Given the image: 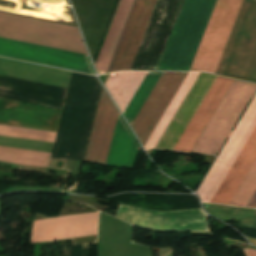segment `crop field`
I'll use <instances>...</instances> for the list:
<instances>
[{
	"label": "crop field",
	"mask_w": 256,
	"mask_h": 256,
	"mask_svg": "<svg viewBox=\"0 0 256 256\" xmlns=\"http://www.w3.org/2000/svg\"><path fill=\"white\" fill-rule=\"evenodd\" d=\"M214 74L256 83V0H242Z\"/></svg>",
	"instance_id": "obj_1"
},
{
	"label": "crop field",
	"mask_w": 256,
	"mask_h": 256,
	"mask_svg": "<svg viewBox=\"0 0 256 256\" xmlns=\"http://www.w3.org/2000/svg\"><path fill=\"white\" fill-rule=\"evenodd\" d=\"M197 0H184L157 70L169 71ZM216 0H198L170 71H189Z\"/></svg>",
	"instance_id": "obj_2"
},
{
	"label": "crop field",
	"mask_w": 256,
	"mask_h": 256,
	"mask_svg": "<svg viewBox=\"0 0 256 256\" xmlns=\"http://www.w3.org/2000/svg\"><path fill=\"white\" fill-rule=\"evenodd\" d=\"M0 37L87 54L75 27L1 12Z\"/></svg>",
	"instance_id": "obj_3"
},
{
	"label": "crop field",
	"mask_w": 256,
	"mask_h": 256,
	"mask_svg": "<svg viewBox=\"0 0 256 256\" xmlns=\"http://www.w3.org/2000/svg\"><path fill=\"white\" fill-rule=\"evenodd\" d=\"M255 90L256 85L233 80L191 152L217 155Z\"/></svg>",
	"instance_id": "obj_4"
},
{
	"label": "crop field",
	"mask_w": 256,
	"mask_h": 256,
	"mask_svg": "<svg viewBox=\"0 0 256 256\" xmlns=\"http://www.w3.org/2000/svg\"><path fill=\"white\" fill-rule=\"evenodd\" d=\"M241 0H217L190 71L214 73Z\"/></svg>",
	"instance_id": "obj_5"
},
{
	"label": "crop field",
	"mask_w": 256,
	"mask_h": 256,
	"mask_svg": "<svg viewBox=\"0 0 256 256\" xmlns=\"http://www.w3.org/2000/svg\"><path fill=\"white\" fill-rule=\"evenodd\" d=\"M181 0H157L130 70H154Z\"/></svg>",
	"instance_id": "obj_6"
},
{
	"label": "crop field",
	"mask_w": 256,
	"mask_h": 256,
	"mask_svg": "<svg viewBox=\"0 0 256 256\" xmlns=\"http://www.w3.org/2000/svg\"><path fill=\"white\" fill-rule=\"evenodd\" d=\"M255 126L256 95L199 187L197 192L202 202H210Z\"/></svg>",
	"instance_id": "obj_7"
},
{
	"label": "crop field",
	"mask_w": 256,
	"mask_h": 256,
	"mask_svg": "<svg viewBox=\"0 0 256 256\" xmlns=\"http://www.w3.org/2000/svg\"><path fill=\"white\" fill-rule=\"evenodd\" d=\"M0 55L94 74L85 54L0 38Z\"/></svg>",
	"instance_id": "obj_8"
},
{
	"label": "crop field",
	"mask_w": 256,
	"mask_h": 256,
	"mask_svg": "<svg viewBox=\"0 0 256 256\" xmlns=\"http://www.w3.org/2000/svg\"><path fill=\"white\" fill-rule=\"evenodd\" d=\"M156 0H134L108 72L129 70Z\"/></svg>",
	"instance_id": "obj_9"
},
{
	"label": "crop field",
	"mask_w": 256,
	"mask_h": 256,
	"mask_svg": "<svg viewBox=\"0 0 256 256\" xmlns=\"http://www.w3.org/2000/svg\"><path fill=\"white\" fill-rule=\"evenodd\" d=\"M187 73L163 72L131 125L143 146L169 105Z\"/></svg>",
	"instance_id": "obj_10"
},
{
	"label": "crop field",
	"mask_w": 256,
	"mask_h": 256,
	"mask_svg": "<svg viewBox=\"0 0 256 256\" xmlns=\"http://www.w3.org/2000/svg\"><path fill=\"white\" fill-rule=\"evenodd\" d=\"M200 210L203 212L202 208ZM205 224L208 230L206 215ZM119 218L143 228L161 231L203 230V217L198 209L153 212L123 205Z\"/></svg>",
	"instance_id": "obj_11"
},
{
	"label": "crop field",
	"mask_w": 256,
	"mask_h": 256,
	"mask_svg": "<svg viewBox=\"0 0 256 256\" xmlns=\"http://www.w3.org/2000/svg\"><path fill=\"white\" fill-rule=\"evenodd\" d=\"M98 213L37 220L31 242L96 234Z\"/></svg>",
	"instance_id": "obj_12"
},
{
	"label": "crop field",
	"mask_w": 256,
	"mask_h": 256,
	"mask_svg": "<svg viewBox=\"0 0 256 256\" xmlns=\"http://www.w3.org/2000/svg\"><path fill=\"white\" fill-rule=\"evenodd\" d=\"M118 111L102 90L85 161L105 165Z\"/></svg>",
	"instance_id": "obj_13"
},
{
	"label": "crop field",
	"mask_w": 256,
	"mask_h": 256,
	"mask_svg": "<svg viewBox=\"0 0 256 256\" xmlns=\"http://www.w3.org/2000/svg\"><path fill=\"white\" fill-rule=\"evenodd\" d=\"M61 113L0 99V124L57 131Z\"/></svg>",
	"instance_id": "obj_14"
},
{
	"label": "crop field",
	"mask_w": 256,
	"mask_h": 256,
	"mask_svg": "<svg viewBox=\"0 0 256 256\" xmlns=\"http://www.w3.org/2000/svg\"><path fill=\"white\" fill-rule=\"evenodd\" d=\"M231 82V79L217 77L174 150L190 152Z\"/></svg>",
	"instance_id": "obj_15"
},
{
	"label": "crop field",
	"mask_w": 256,
	"mask_h": 256,
	"mask_svg": "<svg viewBox=\"0 0 256 256\" xmlns=\"http://www.w3.org/2000/svg\"><path fill=\"white\" fill-rule=\"evenodd\" d=\"M255 159L256 128L215 193L211 202L228 205Z\"/></svg>",
	"instance_id": "obj_16"
},
{
	"label": "crop field",
	"mask_w": 256,
	"mask_h": 256,
	"mask_svg": "<svg viewBox=\"0 0 256 256\" xmlns=\"http://www.w3.org/2000/svg\"><path fill=\"white\" fill-rule=\"evenodd\" d=\"M139 149L130 129L118 115L106 165L133 168Z\"/></svg>",
	"instance_id": "obj_17"
},
{
	"label": "crop field",
	"mask_w": 256,
	"mask_h": 256,
	"mask_svg": "<svg viewBox=\"0 0 256 256\" xmlns=\"http://www.w3.org/2000/svg\"><path fill=\"white\" fill-rule=\"evenodd\" d=\"M133 0H120L116 13L110 25L104 44L98 56L95 67L99 74L106 72L121 30L125 23Z\"/></svg>",
	"instance_id": "obj_18"
},
{
	"label": "crop field",
	"mask_w": 256,
	"mask_h": 256,
	"mask_svg": "<svg viewBox=\"0 0 256 256\" xmlns=\"http://www.w3.org/2000/svg\"><path fill=\"white\" fill-rule=\"evenodd\" d=\"M146 74L147 72H119L109 77L105 85L122 113Z\"/></svg>",
	"instance_id": "obj_19"
},
{
	"label": "crop field",
	"mask_w": 256,
	"mask_h": 256,
	"mask_svg": "<svg viewBox=\"0 0 256 256\" xmlns=\"http://www.w3.org/2000/svg\"><path fill=\"white\" fill-rule=\"evenodd\" d=\"M198 75L199 73H188L187 77L180 86L167 110L163 114L153 133L146 142L144 146L145 149L150 147L155 148L156 144L158 143L165 129L169 125L170 121L172 120L173 116L175 115L176 111L178 110L179 106L181 105L182 101L184 100L185 96L192 87Z\"/></svg>",
	"instance_id": "obj_20"
},
{
	"label": "crop field",
	"mask_w": 256,
	"mask_h": 256,
	"mask_svg": "<svg viewBox=\"0 0 256 256\" xmlns=\"http://www.w3.org/2000/svg\"><path fill=\"white\" fill-rule=\"evenodd\" d=\"M51 153L0 147V160L15 164L47 167Z\"/></svg>",
	"instance_id": "obj_21"
},
{
	"label": "crop field",
	"mask_w": 256,
	"mask_h": 256,
	"mask_svg": "<svg viewBox=\"0 0 256 256\" xmlns=\"http://www.w3.org/2000/svg\"><path fill=\"white\" fill-rule=\"evenodd\" d=\"M162 72H148L147 76L143 80L142 84L138 88L134 97L130 101L129 105L124 111V116L129 121L130 125L134 120L135 116L139 112L146 98L150 94L157 80L161 76Z\"/></svg>",
	"instance_id": "obj_22"
},
{
	"label": "crop field",
	"mask_w": 256,
	"mask_h": 256,
	"mask_svg": "<svg viewBox=\"0 0 256 256\" xmlns=\"http://www.w3.org/2000/svg\"><path fill=\"white\" fill-rule=\"evenodd\" d=\"M255 190H256V160L252 165V167L250 168L249 172L247 173L246 177L244 178L243 182L241 183L240 187L238 188L237 192L233 196L229 205L246 207L247 203L249 202L250 198L254 194Z\"/></svg>",
	"instance_id": "obj_23"
},
{
	"label": "crop field",
	"mask_w": 256,
	"mask_h": 256,
	"mask_svg": "<svg viewBox=\"0 0 256 256\" xmlns=\"http://www.w3.org/2000/svg\"><path fill=\"white\" fill-rule=\"evenodd\" d=\"M0 135L54 142L56 133L0 125Z\"/></svg>",
	"instance_id": "obj_24"
},
{
	"label": "crop field",
	"mask_w": 256,
	"mask_h": 256,
	"mask_svg": "<svg viewBox=\"0 0 256 256\" xmlns=\"http://www.w3.org/2000/svg\"><path fill=\"white\" fill-rule=\"evenodd\" d=\"M240 225L243 227L255 228L256 229V215L253 217L241 219Z\"/></svg>",
	"instance_id": "obj_25"
},
{
	"label": "crop field",
	"mask_w": 256,
	"mask_h": 256,
	"mask_svg": "<svg viewBox=\"0 0 256 256\" xmlns=\"http://www.w3.org/2000/svg\"><path fill=\"white\" fill-rule=\"evenodd\" d=\"M242 250L246 256H256V250H252L249 248H242Z\"/></svg>",
	"instance_id": "obj_26"
},
{
	"label": "crop field",
	"mask_w": 256,
	"mask_h": 256,
	"mask_svg": "<svg viewBox=\"0 0 256 256\" xmlns=\"http://www.w3.org/2000/svg\"><path fill=\"white\" fill-rule=\"evenodd\" d=\"M247 207L256 208V192L248 203Z\"/></svg>",
	"instance_id": "obj_27"
},
{
	"label": "crop field",
	"mask_w": 256,
	"mask_h": 256,
	"mask_svg": "<svg viewBox=\"0 0 256 256\" xmlns=\"http://www.w3.org/2000/svg\"><path fill=\"white\" fill-rule=\"evenodd\" d=\"M247 239H248L250 242H252L253 244L256 245V239H254V238H248V237H247Z\"/></svg>",
	"instance_id": "obj_28"
},
{
	"label": "crop field",
	"mask_w": 256,
	"mask_h": 256,
	"mask_svg": "<svg viewBox=\"0 0 256 256\" xmlns=\"http://www.w3.org/2000/svg\"><path fill=\"white\" fill-rule=\"evenodd\" d=\"M256 214V213H255Z\"/></svg>",
	"instance_id": "obj_29"
}]
</instances>
